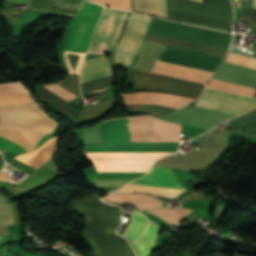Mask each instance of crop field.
I'll list each match as a JSON object with an SVG mask.
<instances>
[{
  "mask_svg": "<svg viewBox=\"0 0 256 256\" xmlns=\"http://www.w3.org/2000/svg\"><path fill=\"white\" fill-rule=\"evenodd\" d=\"M151 19V17L143 16L140 14H130L124 28L123 36L116 48L115 66L132 65L141 44L142 38ZM147 32L225 50L228 49L231 41V34L228 33L207 30L191 25L180 24L155 18L152 19ZM148 33L145 34L143 39L166 43L191 50L206 52L222 57H224L227 52L221 49L202 46Z\"/></svg>",
  "mask_w": 256,
  "mask_h": 256,
  "instance_id": "8a807250",
  "label": "crop field"
},
{
  "mask_svg": "<svg viewBox=\"0 0 256 256\" xmlns=\"http://www.w3.org/2000/svg\"><path fill=\"white\" fill-rule=\"evenodd\" d=\"M179 143H113L84 146L85 151H175ZM179 146V145H178ZM98 172L148 171L158 158L172 152H85ZM147 172L92 173L89 177L101 189L112 191Z\"/></svg>",
  "mask_w": 256,
  "mask_h": 256,
  "instance_id": "ac0d7876",
  "label": "crop field"
},
{
  "mask_svg": "<svg viewBox=\"0 0 256 256\" xmlns=\"http://www.w3.org/2000/svg\"><path fill=\"white\" fill-rule=\"evenodd\" d=\"M95 194L73 202L87 217L81 237L87 242L95 256H134L126 239L115 234L120 225L121 208L101 203Z\"/></svg>",
  "mask_w": 256,
  "mask_h": 256,
  "instance_id": "34b2d1b8",
  "label": "crop field"
},
{
  "mask_svg": "<svg viewBox=\"0 0 256 256\" xmlns=\"http://www.w3.org/2000/svg\"><path fill=\"white\" fill-rule=\"evenodd\" d=\"M133 11L166 18L165 0H132ZM167 18L216 29H231L233 13L229 0H166Z\"/></svg>",
  "mask_w": 256,
  "mask_h": 256,
  "instance_id": "412701ff",
  "label": "crop field"
},
{
  "mask_svg": "<svg viewBox=\"0 0 256 256\" xmlns=\"http://www.w3.org/2000/svg\"><path fill=\"white\" fill-rule=\"evenodd\" d=\"M56 124L36 103L0 109V134L32 150L39 139L54 130ZM2 135L0 149L13 154L30 151Z\"/></svg>",
  "mask_w": 256,
  "mask_h": 256,
  "instance_id": "f4fd0767",
  "label": "crop field"
},
{
  "mask_svg": "<svg viewBox=\"0 0 256 256\" xmlns=\"http://www.w3.org/2000/svg\"><path fill=\"white\" fill-rule=\"evenodd\" d=\"M185 189L177 182L171 168L154 165L141 178L131 181L116 192H145L160 197L176 198Z\"/></svg>",
  "mask_w": 256,
  "mask_h": 256,
  "instance_id": "dd49c442",
  "label": "crop field"
},
{
  "mask_svg": "<svg viewBox=\"0 0 256 256\" xmlns=\"http://www.w3.org/2000/svg\"><path fill=\"white\" fill-rule=\"evenodd\" d=\"M154 117H127L130 141L150 142ZM126 117L103 121L106 142L129 141ZM160 142V141H159Z\"/></svg>",
  "mask_w": 256,
  "mask_h": 256,
  "instance_id": "e52e79f7",
  "label": "crop field"
},
{
  "mask_svg": "<svg viewBox=\"0 0 256 256\" xmlns=\"http://www.w3.org/2000/svg\"><path fill=\"white\" fill-rule=\"evenodd\" d=\"M131 80L134 86L140 88L175 93L194 98L199 96L204 87V84L147 73L136 69L131 70Z\"/></svg>",
  "mask_w": 256,
  "mask_h": 256,
  "instance_id": "d8731c3e",
  "label": "crop field"
},
{
  "mask_svg": "<svg viewBox=\"0 0 256 256\" xmlns=\"http://www.w3.org/2000/svg\"><path fill=\"white\" fill-rule=\"evenodd\" d=\"M127 14L105 8L87 54H104L114 46L120 37Z\"/></svg>",
  "mask_w": 256,
  "mask_h": 256,
  "instance_id": "5a996713",
  "label": "crop field"
},
{
  "mask_svg": "<svg viewBox=\"0 0 256 256\" xmlns=\"http://www.w3.org/2000/svg\"><path fill=\"white\" fill-rule=\"evenodd\" d=\"M102 6L82 1L65 50L86 52Z\"/></svg>",
  "mask_w": 256,
  "mask_h": 256,
  "instance_id": "3316defc",
  "label": "crop field"
},
{
  "mask_svg": "<svg viewBox=\"0 0 256 256\" xmlns=\"http://www.w3.org/2000/svg\"><path fill=\"white\" fill-rule=\"evenodd\" d=\"M160 228L161 226L155 224L145 214L133 210L131 223L123 235L134 245L138 256H149Z\"/></svg>",
  "mask_w": 256,
  "mask_h": 256,
  "instance_id": "28ad6ade",
  "label": "crop field"
},
{
  "mask_svg": "<svg viewBox=\"0 0 256 256\" xmlns=\"http://www.w3.org/2000/svg\"><path fill=\"white\" fill-rule=\"evenodd\" d=\"M195 105L240 115L256 106V100L205 88Z\"/></svg>",
  "mask_w": 256,
  "mask_h": 256,
  "instance_id": "d1516ede",
  "label": "crop field"
},
{
  "mask_svg": "<svg viewBox=\"0 0 256 256\" xmlns=\"http://www.w3.org/2000/svg\"><path fill=\"white\" fill-rule=\"evenodd\" d=\"M156 59L213 72L223 58L163 44Z\"/></svg>",
  "mask_w": 256,
  "mask_h": 256,
  "instance_id": "22f410ed",
  "label": "crop field"
},
{
  "mask_svg": "<svg viewBox=\"0 0 256 256\" xmlns=\"http://www.w3.org/2000/svg\"><path fill=\"white\" fill-rule=\"evenodd\" d=\"M112 75L110 65L104 56L87 59L84 61L82 71L80 73V82H86L94 80L102 76ZM112 83V76L103 77L98 80L86 82L81 84L82 91H90L106 86H110ZM106 89V88H103ZM103 89L95 90L101 91Z\"/></svg>",
  "mask_w": 256,
  "mask_h": 256,
  "instance_id": "cbeb9de0",
  "label": "crop field"
},
{
  "mask_svg": "<svg viewBox=\"0 0 256 256\" xmlns=\"http://www.w3.org/2000/svg\"><path fill=\"white\" fill-rule=\"evenodd\" d=\"M57 84L61 85L65 89L69 90L71 93H73L77 97L80 96L78 77L68 75L62 81L58 82ZM45 87L66 101L76 98L69 91L63 89L62 87H60L54 83L49 86H45ZM38 89H39L42 99L45 100L47 103H49L55 109L60 106L68 105V103L66 101H64L63 99H61L54 93L50 92L49 90H47L43 87H40Z\"/></svg>",
  "mask_w": 256,
  "mask_h": 256,
  "instance_id": "5142ce71",
  "label": "crop field"
},
{
  "mask_svg": "<svg viewBox=\"0 0 256 256\" xmlns=\"http://www.w3.org/2000/svg\"><path fill=\"white\" fill-rule=\"evenodd\" d=\"M33 99L19 82L0 84V106L31 103Z\"/></svg>",
  "mask_w": 256,
  "mask_h": 256,
  "instance_id": "d9b57169",
  "label": "crop field"
},
{
  "mask_svg": "<svg viewBox=\"0 0 256 256\" xmlns=\"http://www.w3.org/2000/svg\"><path fill=\"white\" fill-rule=\"evenodd\" d=\"M106 201L117 202L123 204L125 201L131 202L136 205L141 211L147 208L162 207V202L154 199L153 197L141 194H117L110 193L103 198Z\"/></svg>",
  "mask_w": 256,
  "mask_h": 256,
  "instance_id": "733c2abd",
  "label": "crop field"
},
{
  "mask_svg": "<svg viewBox=\"0 0 256 256\" xmlns=\"http://www.w3.org/2000/svg\"><path fill=\"white\" fill-rule=\"evenodd\" d=\"M161 218L167 220L173 225L179 226V221L183 219L186 215H188L191 211L186 210V209H177V210H172V209H158V210H148Z\"/></svg>",
  "mask_w": 256,
  "mask_h": 256,
  "instance_id": "4a817a6b",
  "label": "crop field"
},
{
  "mask_svg": "<svg viewBox=\"0 0 256 256\" xmlns=\"http://www.w3.org/2000/svg\"><path fill=\"white\" fill-rule=\"evenodd\" d=\"M127 112L131 111H141V112H148L149 114L161 118L177 109L163 107L158 105H131L125 106Z\"/></svg>",
  "mask_w": 256,
  "mask_h": 256,
  "instance_id": "bc2a9ffb",
  "label": "crop field"
},
{
  "mask_svg": "<svg viewBox=\"0 0 256 256\" xmlns=\"http://www.w3.org/2000/svg\"><path fill=\"white\" fill-rule=\"evenodd\" d=\"M13 222V214L8 203L0 196V235H10L7 225Z\"/></svg>",
  "mask_w": 256,
  "mask_h": 256,
  "instance_id": "214f88e0",
  "label": "crop field"
},
{
  "mask_svg": "<svg viewBox=\"0 0 256 256\" xmlns=\"http://www.w3.org/2000/svg\"><path fill=\"white\" fill-rule=\"evenodd\" d=\"M228 122L232 131L243 129L244 125L256 122V108Z\"/></svg>",
  "mask_w": 256,
  "mask_h": 256,
  "instance_id": "92a150f3",
  "label": "crop field"
},
{
  "mask_svg": "<svg viewBox=\"0 0 256 256\" xmlns=\"http://www.w3.org/2000/svg\"><path fill=\"white\" fill-rule=\"evenodd\" d=\"M52 5H53V0H32L30 3V7L33 9L73 14V15H76L78 12L75 10L52 8Z\"/></svg>",
  "mask_w": 256,
  "mask_h": 256,
  "instance_id": "dafd665d",
  "label": "crop field"
},
{
  "mask_svg": "<svg viewBox=\"0 0 256 256\" xmlns=\"http://www.w3.org/2000/svg\"><path fill=\"white\" fill-rule=\"evenodd\" d=\"M112 100L113 98L98 105L86 107L78 121L85 120L91 117H96L104 113L108 109L109 105L112 103Z\"/></svg>",
  "mask_w": 256,
  "mask_h": 256,
  "instance_id": "00972430",
  "label": "crop field"
},
{
  "mask_svg": "<svg viewBox=\"0 0 256 256\" xmlns=\"http://www.w3.org/2000/svg\"><path fill=\"white\" fill-rule=\"evenodd\" d=\"M225 61L256 69V58L254 57L230 52Z\"/></svg>",
  "mask_w": 256,
  "mask_h": 256,
  "instance_id": "a9b5d70f",
  "label": "crop field"
},
{
  "mask_svg": "<svg viewBox=\"0 0 256 256\" xmlns=\"http://www.w3.org/2000/svg\"><path fill=\"white\" fill-rule=\"evenodd\" d=\"M103 5L122 8L131 11L130 0H89Z\"/></svg>",
  "mask_w": 256,
  "mask_h": 256,
  "instance_id": "4177f3b9",
  "label": "crop field"
},
{
  "mask_svg": "<svg viewBox=\"0 0 256 256\" xmlns=\"http://www.w3.org/2000/svg\"><path fill=\"white\" fill-rule=\"evenodd\" d=\"M245 16L250 24H256V9H245Z\"/></svg>",
  "mask_w": 256,
  "mask_h": 256,
  "instance_id": "730fd06b",
  "label": "crop field"
},
{
  "mask_svg": "<svg viewBox=\"0 0 256 256\" xmlns=\"http://www.w3.org/2000/svg\"><path fill=\"white\" fill-rule=\"evenodd\" d=\"M243 132H244L246 137L256 136V126L247 128V129L243 130Z\"/></svg>",
  "mask_w": 256,
  "mask_h": 256,
  "instance_id": "eef30255",
  "label": "crop field"
},
{
  "mask_svg": "<svg viewBox=\"0 0 256 256\" xmlns=\"http://www.w3.org/2000/svg\"><path fill=\"white\" fill-rule=\"evenodd\" d=\"M58 110H60V111H62V112H65V113H67V114H69V115H72V116H74V117H78V115H79V112H75V111H72V110H69V109H65V108H62V109H58Z\"/></svg>",
  "mask_w": 256,
  "mask_h": 256,
  "instance_id": "ae1a2a85",
  "label": "crop field"
},
{
  "mask_svg": "<svg viewBox=\"0 0 256 256\" xmlns=\"http://www.w3.org/2000/svg\"><path fill=\"white\" fill-rule=\"evenodd\" d=\"M8 177H10V175H8L7 173H5L3 171L0 172V179L5 180Z\"/></svg>",
  "mask_w": 256,
  "mask_h": 256,
  "instance_id": "d3111659",
  "label": "crop field"
},
{
  "mask_svg": "<svg viewBox=\"0 0 256 256\" xmlns=\"http://www.w3.org/2000/svg\"><path fill=\"white\" fill-rule=\"evenodd\" d=\"M106 95H107V89L104 90V91H102V92H100V93L98 94V99H100V98H102V97H104V96H106Z\"/></svg>",
  "mask_w": 256,
  "mask_h": 256,
  "instance_id": "750c4746",
  "label": "crop field"
},
{
  "mask_svg": "<svg viewBox=\"0 0 256 256\" xmlns=\"http://www.w3.org/2000/svg\"><path fill=\"white\" fill-rule=\"evenodd\" d=\"M8 1H13V2H17V3H26L27 0H8Z\"/></svg>",
  "mask_w": 256,
  "mask_h": 256,
  "instance_id": "bd1437ed",
  "label": "crop field"
},
{
  "mask_svg": "<svg viewBox=\"0 0 256 256\" xmlns=\"http://www.w3.org/2000/svg\"><path fill=\"white\" fill-rule=\"evenodd\" d=\"M0 164H2V165L4 164V161L1 156H0Z\"/></svg>",
  "mask_w": 256,
  "mask_h": 256,
  "instance_id": "1d83c4d3",
  "label": "crop field"
},
{
  "mask_svg": "<svg viewBox=\"0 0 256 256\" xmlns=\"http://www.w3.org/2000/svg\"><path fill=\"white\" fill-rule=\"evenodd\" d=\"M254 8H256V0H254Z\"/></svg>",
  "mask_w": 256,
  "mask_h": 256,
  "instance_id": "120bbe31",
  "label": "crop field"
},
{
  "mask_svg": "<svg viewBox=\"0 0 256 256\" xmlns=\"http://www.w3.org/2000/svg\"><path fill=\"white\" fill-rule=\"evenodd\" d=\"M196 1H200L201 2V0H196Z\"/></svg>",
  "mask_w": 256,
  "mask_h": 256,
  "instance_id": "d32e631a",
  "label": "crop field"
},
{
  "mask_svg": "<svg viewBox=\"0 0 256 256\" xmlns=\"http://www.w3.org/2000/svg\"><path fill=\"white\" fill-rule=\"evenodd\" d=\"M2 238V236H0V239Z\"/></svg>",
  "mask_w": 256,
  "mask_h": 256,
  "instance_id": "5866460e",
  "label": "crop field"
},
{
  "mask_svg": "<svg viewBox=\"0 0 256 256\" xmlns=\"http://www.w3.org/2000/svg\"><path fill=\"white\" fill-rule=\"evenodd\" d=\"M256 97V96H255Z\"/></svg>",
  "mask_w": 256,
  "mask_h": 256,
  "instance_id": "028f5c9d",
  "label": "crop field"
}]
</instances>
